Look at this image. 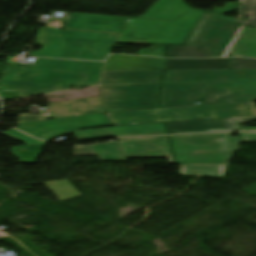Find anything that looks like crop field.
<instances>
[{
    "instance_id": "28",
    "label": "crop field",
    "mask_w": 256,
    "mask_h": 256,
    "mask_svg": "<svg viewBox=\"0 0 256 256\" xmlns=\"http://www.w3.org/2000/svg\"><path fill=\"white\" fill-rule=\"evenodd\" d=\"M25 145H35V144H43V143H46V142H41V141H38V140H35V139H32L14 129H11L5 133H3Z\"/></svg>"
},
{
    "instance_id": "34",
    "label": "crop field",
    "mask_w": 256,
    "mask_h": 256,
    "mask_svg": "<svg viewBox=\"0 0 256 256\" xmlns=\"http://www.w3.org/2000/svg\"><path fill=\"white\" fill-rule=\"evenodd\" d=\"M247 130H256V127H246Z\"/></svg>"
},
{
    "instance_id": "14",
    "label": "crop field",
    "mask_w": 256,
    "mask_h": 256,
    "mask_svg": "<svg viewBox=\"0 0 256 256\" xmlns=\"http://www.w3.org/2000/svg\"><path fill=\"white\" fill-rule=\"evenodd\" d=\"M206 83L162 85L160 104L162 107L195 105L201 101Z\"/></svg>"
},
{
    "instance_id": "30",
    "label": "crop field",
    "mask_w": 256,
    "mask_h": 256,
    "mask_svg": "<svg viewBox=\"0 0 256 256\" xmlns=\"http://www.w3.org/2000/svg\"><path fill=\"white\" fill-rule=\"evenodd\" d=\"M165 46H152L148 49H140L136 55H152L164 57Z\"/></svg>"
},
{
    "instance_id": "31",
    "label": "crop field",
    "mask_w": 256,
    "mask_h": 256,
    "mask_svg": "<svg viewBox=\"0 0 256 256\" xmlns=\"http://www.w3.org/2000/svg\"><path fill=\"white\" fill-rule=\"evenodd\" d=\"M239 143L256 142V132L253 133H239Z\"/></svg>"
},
{
    "instance_id": "25",
    "label": "crop field",
    "mask_w": 256,
    "mask_h": 256,
    "mask_svg": "<svg viewBox=\"0 0 256 256\" xmlns=\"http://www.w3.org/2000/svg\"><path fill=\"white\" fill-rule=\"evenodd\" d=\"M220 165H181V174L219 177Z\"/></svg>"
},
{
    "instance_id": "33",
    "label": "crop field",
    "mask_w": 256,
    "mask_h": 256,
    "mask_svg": "<svg viewBox=\"0 0 256 256\" xmlns=\"http://www.w3.org/2000/svg\"><path fill=\"white\" fill-rule=\"evenodd\" d=\"M42 119H46V118H43L41 116H35V115H24V116H19L18 123L28 122V121H35V120H42Z\"/></svg>"
},
{
    "instance_id": "7",
    "label": "crop field",
    "mask_w": 256,
    "mask_h": 256,
    "mask_svg": "<svg viewBox=\"0 0 256 256\" xmlns=\"http://www.w3.org/2000/svg\"><path fill=\"white\" fill-rule=\"evenodd\" d=\"M110 125L103 114L83 115L77 117L36 121L18 124L16 129L35 138L49 141L69 134L67 130Z\"/></svg>"
},
{
    "instance_id": "13",
    "label": "crop field",
    "mask_w": 256,
    "mask_h": 256,
    "mask_svg": "<svg viewBox=\"0 0 256 256\" xmlns=\"http://www.w3.org/2000/svg\"><path fill=\"white\" fill-rule=\"evenodd\" d=\"M130 18L72 13L64 28L121 33Z\"/></svg>"
},
{
    "instance_id": "12",
    "label": "crop field",
    "mask_w": 256,
    "mask_h": 256,
    "mask_svg": "<svg viewBox=\"0 0 256 256\" xmlns=\"http://www.w3.org/2000/svg\"><path fill=\"white\" fill-rule=\"evenodd\" d=\"M70 133H72L78 141L99 138L165 134L162 123L128 127H108L100 129L74 131Z\"/></svg>"
},
{
    "instance_id": "21",
    "label": "crop field",
    "mask_w": 256,
    "mask_h": 256,
    "mask_svg": "<svg viewBox=\"0 0 256 256\" xmlns=\"http://www.w3.org/2000/svg\"><path fill=\"white\" fill-rule=\"evenodd\" d=\"M253 31V28L241 26L238 33L236 34L222 57L240 56Z\"/></svg>"
},
{
    "instance_id": "11",
    "label": "crop field",
    "mask_w": 256,
    "mask_h": 256,
    "mask_svg": "<svg viewBox=\"0 0 256 256\" xmlns=\"http://www.w3.org/2000/svg\"><path fill=\"white\" fill-rule=\"evenodd\" d=\"M256 121L254 117L225 118L165 123L169 134L243 131L240 123Z\"/></svg>"
},
{
    "instance_id": "17",
    "label": "crop field",
    "mask_w": 256,
    "mask_h": 256,
    "mask_svg": "<svg viewBox=\"0 0 256 256\" xmlns=\"http://www.w3.org/2000/svg\"><path fill=\"white\" fill-rule=\"evenodd\" d=\"M48 108L53 114V118L84 113L104 112L100 97L53 103L49 105Z\"/></svg>"
},
{
    "instance_id": "1",
    "label": "crop field",
    "mask_w": 256,
    "mask_h": 256,
    "mask_svg": "<svg viewBox=\"0 0 256 256\" xmlns=\"http://www.w3.org/2000/svg\"><path fill=\"white\" fill-rule=\"evenodd\" d=\"M103 63L38 59L36 67L5 65L0 89L19 90L18 98L97 85Z\"/></svg>"
},
{
    "instance_id": "3",
    "label": "crop field",
    "mask_w": 256,
    "mask_h": 256,
    "mask_svg": "<svg viewBox=\"0 0 256 256\" xmlns=\"http://www.w3.org/2000/svg\"><path fill=\"white\" fill-rule=\"evenodd\" d=\"M207 82L203 104L256 101V70L166 71L163 84Z\"/></svg>"
},
{
    "instance_id": "16",
    "label": "crop field",
    "mask_w": 256,
    "mask_h": 256,
    "mask_svg": "<svg viewBox=\"0 0 256 256\" xmlns=\"http://www.w3.org/2000/svg\"><path fill=\"white\" fill-rule=\"evenodd\" d=\"M162 72H104L100 85L159 84Z\"/></svg>"
},
{
    "instance_id": "22",
    "label": "crop field",
    "mask_w": 256,
    "mask_h": 256,
    "mask_svg": "<svg viewBox=\"0 0 256 256\" xmlns=\"http://www.w3.org/2000/svg\"><path fill=\"white\" fill-rule=\"evenodd\" d=\"M176 57H210L205 47L168 46V58Z\"/></svg>"
},
{
    "instance_id": "18",
    "label": "crop field",
    "mask_w": 256,
    "mask_h": 256,
    "mask_svg": "<svg viewBox=\"0 0 256 256\" xmlns=\"http://www.w3.org/2000/svg\"><path fill=\"white\" fill-rule=\"evenodd\" d=\"M74 155H98L101 161H127L118 143L75 147Z\"/></svg>"
},
{
    "instance_id": "29",
    "label": "crop field",
    "mask_w": 256,
    "mask_h": 256,
    "mask_svg": "<svg viewBox=\"0 0 256 256\" xmlns=\"http://www.w3.org/2000/svg\"><path fill=\"white\" fill-rule=\"evenodd\" d=\"M239 5H240V3L227 2L222 9L214 8L213 12L219 13L218 16H217V19H221V20H225V21L235 23L236 19H231V18L220 16V15L225 13V12L237 9L239 7Z\"/></svg>"
},
{
    "instance_id": "23",
    "label": "crop field",
    "mask_w": 256,
    "mask_h": 256,
    "mask_svg": "<svg viewBox=\"0 0 256 256\" xmlns=\"http://www.w3.org/2000/svg\"><path fill=\"white\" fill-rule=\"evenodd\" d=\"M241 2L236 23L256 27V0H238ZM241 15L247 16L240 20Z\"/></svg>"
},
{
    "instance_id": "24",
    "label": "crop field",
    "mask_w": 256,
    "mask_h": 256,
    "mask_svg": "<svg viewBox=\"0 0 256 256\" xmlns=\"http://www.w3.org/2000/svg\"><path fill=\"white\" fill-rule=\"evenodd\" d=\"M59 201L74 198L80 194L69 181L45 184Z\"/></svg>"
},
{
    "instance_id": "10",
    "label": "crop field",
    "mask_w": 256,
    "mask_h": 256,
    "mask_svg": "<svg viewBox=\"0 0 256 256\" xmlns=\"http://www.w3.org/2000/svg\"><path fill=\"white\" fill-rule=\"evenodd\" d=\"M117 140L127 158L168 157L175 164L167 136Z\"/></svg>"
},
{
    "instance_id": "15",
    "label": "crop field",
    "mask_w": 256,
    "mask_h": 256,
    "mask_svg": "<svg viewBox=\"0 0 256 256\" xmlns=\"http://www.w3.org/2000/svg\"><path fill=\"white\" fill-rule=\"evenodd\" d=\"M104 71L163 70L165 59L112 55Z\"/></svg>"
},
{
    "instance_id": "26",
    "label": "crop field",
    "mask_w": 256,
    "mask_h": 256,
    "mask_svg": "<svg viewBox=\"0 0 256 256\" xmlns=\"http://www.w3.org/2000/svg\"><path fill=\"white\" fill-rule=\"evenodd\" d=\"M44 146L12 148V152L20 160V163H35Z\"/></svg>"
},
{
    "instance_id": "4",
    "label": "crop field",
    "mask_w": 256,
    "mask_h": 256,
    "mask_svg": "<svg viewBox=\"0 0 256 256\" xmlns=\"http://www.w3.org/2000/svg\"><path fill=\"white\" fill-rule=\"evenodd\" d=\"M118 35L39 28L37 44L44 48L32 56L103 60Z\"/></svg>"
},
{
    "instance_id": "6",
    "label": "crop field",
    "mask_w": 256,
    "mask_h": 256,
    "mask_svg": "<svg viewBox=\"0 0 256 256\" xmlns=\"http://www.w3.org/2000/svg\"><path fill=\"white\" fill-rule=\"evenodd\" d=\"M159 85L100 86L108 112L158 108Z\"/></svg>"
},
{
    "instance_id": "27",
    "label": "crop field",
    "mask_w": 256,
    "mask_h": 256,
    "mask_svg": "<svg viewBox=\"0 0 256 256\" xmlns=\"http://www.w3.org/2000/svg\"><path fill=\"white\" fill-rule=\"evenodd\" d=\"M228 69H256V60L230 59Z\"/></svg>"
},
{
    "instance_id": "5",
    "label": "crop field",
    "mask_w": 256,
    "mask_h": 256,
    "mask_svg": "<svg viewBox=\"0 0 256 256\" xmlns=\"http://www.w3.org/2000/svg\"><path fill=\"white\" fill-rule=\"evenodd\" d=\"M177 164H227L238 150L229 133L169 137Z\"/></svg>"
},
{
    "instance_id": "20",
    "label": "crop field",
    "mask_w": 256,
    "mask_h": 256,
    "mask_svg": "<svg viewBox=\"0 0 256 256\" xmlns=\"http://www.w3.org/2000/svg\"><path fill=\"white\" fill-rule=\"evenodd\" d=\"M228 59L168 60L166 70L226 69Z\"/></svg>"
},
{
    "instance_id": "8",
    "label": "crop field",
    "mask_w": 256,
    "mask_h": 256,
    "mask_svg": "<svg viewBox=\"0 0 256 256\" xmlns=\"http://www.w3.org/2000/svg\"><path fill=\"white\" fill-rule=\"evenodd\" d=\"M215 16L205 12L186 45L205 46L211 57H221L240 25L213 20Z\"/></svg>"
},
{
    "instance_id": "19",
    "label": "crop field",
    "mask_w": 256,
    "mask_h": 256,
    "mask_svg": "<svg viewBox=\"0 0 256 256\" xmlns=\"http://www.w3.org/2000/svg\"><path fill=\"white\" fill-rule=\"evenodd\" d=\"M113 125L161 122L159 110L107 114Z\"/></svg>"
},
{
    "instance_id": "32",
    "label": "crop field",
    "mask_w": 256,
    "mask_h": 256,
    "mask_svg": "<svg viewBox=\"0 0 256 256\" xmlns=\"http://www.w3.org/2000/svg\"><path fill=\"white\" fill-rule=\"evenodd\" d=\"M245 57H253L256 58V35L253 38L250 47L248 50L245 52Z\"/></svg>"
},
{
    "instance_id": "2",
    "label": "crop field",
    "mask_w": 256,
    "mask_h": 256,
    "mask_svg": "<svg viewBox=\"0 0 256 256\" xmlns=\"http://www.w3.org/2000/svg\"><path fill=\"white\" fill-rule=\"evenodd\" d=\"M202 11L181 0H157L140 18H131L117 43L182 45Z\"/></svg>"
},
{
    "instance_id": "9",
    "label": "crop field",
    "mask_w": 256,
    "mask_h": 256,
    "mask_svg": "<svg viewBox=\"0 0 256 256\" xmlns=\"http://www.w3.org/2000/svg\"><path fill=\"white\" fill-rule=\"evenodd\" d=\"M165 121L200 119L209 117L210 119L253 116L256 115V105L254 102L197 106L189 108H175L161 110Z\"/></svg>"
}]
</instances>
